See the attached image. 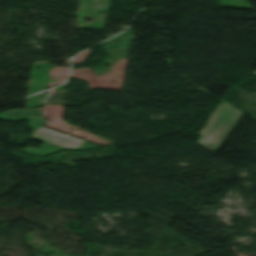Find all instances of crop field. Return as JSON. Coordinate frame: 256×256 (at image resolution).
Segmentation results:
<instances>
[{
    "instance_id": "crop-field-1",
    "label": "crop field",
    "mask_w": 256,
    "mask_h": 256,
    "mask_svg": "<svg viewBox=\"0 0 256 256\" xmlns=\"http://www.w3.org/2000/svg\"><path fill=\"white\" fill-rule=\"evenodd\" d=\"M30 112H33V114H30ZM6 118H11L12 120L27 119L29 127L34 129L31 134L32 139L44 142L40 148L27 147L22 152L45 156L62 149L79 150L102 147L42 127L44 122L38 108L28 111L12 110L0 114V119Z\"/></svg>"
},
{
    "instance_id": "crop-field-2",
    "label": "crop field",
    "mask_w": 256,
    "mask_h": 256,
    "mask_svg": "<svg viewBox=\"0 0 256 256\" xmlns=\"http://www.w3.org/2000/svg\"><path fill=\"white\" fill-rule=\"evenodd\" d=\"M242 115L240 110L232 108L230 104H220L200 131L201 138L197 143L211 151L220 148Z\"/></svg>"
},
{
    "instance_id": "crop-field-3",
    "label": "crop field",
    "mask_w": 256,
    "mask_h": 256,
    "mask_svg": "<svg viewBox=\"0 0 256 256\" xmlns=\"http://www.w3.org/2000/svg\"><path fill=\"white\" fill-rule=\"evenodd\" d=\"M221 6L232 7L230 0H219ZM235 8L251 9L248 0H232Z\"/></svg>"
}]
</instances>
